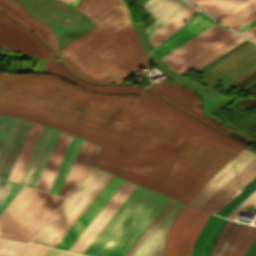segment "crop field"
<instances>
[{
	"mask_svg": "<svg viewBox=\"0 0 256 256\" xmlns=\"http://www.w3.org/2000/svg\"><path fill=\"white\" fill-rule=\"evenodd\" d=\"M256 226L250 225V227L247 229V231L244 233V235L241 237V239L238 241L233 253L231 256H237L242 245L245 243V241L248 239V237L252 234V232L255 230Z\"/></svg>",
	"mask_w": 256,
	"mask_h": 256,
	"instance_id": "crop-field-39",
	"label": "crop field"
},
{
	"mask_svg": "<svg viewBox=\"0 0 256 256\" xmlns=\"http://www.w3.org/2000/svg\"><path fill=\"white\" fill-rule=\"evenodd\" d=\"M148 89L167 99L168 101L174 103L175 105L181 107L187 112L193 114L194 116L200 118L206 123L212 125L213 127L234 138L240 143L246 146L252 143L244 137L208 120L204 115H202L200 112V99L192 91L185 89L179 85L169 83L154 84Z\"/></svg>",
	"mask_w": 256,
	"mask_h": 256,
	"instance_id": "crop-field-9",
	"label": "crop field"
},
{
	"mask_svg": "<svg viewBox=\"0 0 256 256\" xmlns=\"http://www.w3.org/2000/svg\"><path fill=\"white\" fill-rule=\"evenodd\" d=\"M26 244L5 238L0 244V256H17Z\"/></svg>",
	"mask_w": 256,
	"mask_h": 256,
	"instance_id": "crop-field-31",
	"label": "crop field"
},
{
	"mask_svg": "<svg viewBox=\"0 0 256 256\" xmlns=\"http://www.w3.org/2000/svg\"><path fill=\"white\" fill-rule=\"evenodd\" d=\"M256 175V158L238 172L232 179L223 185L217 192L208 198L199 208L214 213L230 197H232L239 186L243 187Z\"/></svg>",
	"mask_w": 256,
	"mask_h": 256,
	"instance_id": "crop-field-15",
	"label": "crop field"
},
{
	"mask_svg": "<svg viewBox=\"0 0 256 256\" xmlns=\"http://www.w3.org/2000/svg\"><path fill=\"white\" fill-rule=\"evenodd\" d=\"M236 221H230V220H227V222H226V224L224 225V227H223V229L221 230V232L219 233V235H218V237H217V239H216V241H215V243H214V246H213V248H212V250H211V252H210V255L209 256H212V254H213V252L214 251H217V252H219L220 251V249H221V247H222V245H223V243H224V241H225V239L227 238V236L229 235V233L231 232V230L233 229V227L236 225ZM239 223V222H238ZM237 226V225H236ZM235 226V227H236ZM242 226V223H239V225L236 227V229L233 231V233L230 235V237H229V239H228V241H227V239H226V241H227V243H226V241H225V243H226V245H225V243H224V245H225V247H224V245H223V247H224V249H223V253L225 252V250H226V248H227V246H228V244H229V242H230V240L233 238V236L236 234V232L239 230V228ZM217 252H215L214 253V255L213 256H223L224 254L223 253H217Z\"/></svg>",
	"mask_w": 256,
	"mask_h": 256,
	"instance_id": "crop-field-26",
	"label": "crop field"
},
{
	"mask_svg": "<svg viewBox=\"0 0 256 256\" xmlns=\"http://www.w3.org/2000/svg\"><path fill=\"white\" fill-rule=\"evenodd\" d=\"M225 222L226 219L210 214L193 243L190 256H207Z\"/></svg>",
	"mask_w": 256,
	"mask_h": 256,
	"instance_id": "crop-field-19",
	"label": "crop field"
},
{
	"mask_svg": "<svg viewBox=\"0 0 256 256\" xmlns=\"http://www.w3.org/2000/svg\"><path fill=\"white\" fill-rule=\"evenodd\" d=\"M0 10L31 30L56 56L57 39L54 30L47 24L32 17L28 11L13 0H0Z\"/></svg>",
	"mask_w": 256,
	"mask_h": 256,
	"instance_id": "crop-field-12",
	"label": "crop field"
},
{
	"mask_svg": "<svg viewBox=\"0 0 256 256\" xmlns=\"http://www.w3.org/2000/svg\"><path fill=\"white\" fill-rule=\"evenodd\" d=\"M82 141H83L82 139H79L74 136L72 137L69 143V146L66 150V153L62 159V162L59 166V169L52 182V185L48 191L49 193H53L57 195L59 194Z\"/></svg>",
	"mask_w": 256,
	"mask_h": 256,
	"instance_id": "crop-field-24",
	"label": "crop field"
},
{
	"mask_svg": "<svg viewBox=\"0 0 256 256\" xmlns=\"http://www.w3.org/2000/svg\"><path fill=\"white\" fill-rule=\"evenodd\" d=\"M122 182L123 180L113 176L55 248L67 251Z\"/></svg>",
	"mask_w": 256,
	"mask_h": 256,
	"instance_id": "crop-field-10",
	"label": "crop field"
},
{
	"mask_svg": "<svg viewBox=\"0 0 256 256\" xmlns=\"http://www.w3.org/2000/svg\"><path fill=\"white\" fill-rule=\"evenodd\" d=\"M242 40H244V39L241 38V37L238 38L237 40L230 43L229 45H227L226 47H224L223 49H221L220 51H218L214 55L210 56L209 58H207L206 60H204L203 62H201L200 64H198L197 66H195L192 69H194L196 71L199 70L200 68H202L203 66H205L206 64H208L209 62H211L212 60H214L215 58H217L218 56H220L221 54H223L224 52H226L227 50H229L230 48H232L233 46H235L236 44H238Z\"/></svg>",
	"mask_w": 256,
	"mask_h": 256,
	"instance_id": "crop-field-36",
	"label": "crop field"
},
{
	"mask_svg": "<svg viewBox=\"0 0 256 256\" xmlns=\"http://www.w3.org/2000/svg\"><path fill=\"white\" fill-rule=\"evenodd\" d=\"M255 2L256 0H198L192 4L219 21Z\"/></svg>",
	"mask_w": 256,
	"mask_h": 256,
	"instance_id": "crop-field-20",
	"label": "crop field"
},
{
	"mask_svg": "<svg viewBox=\"0 0 256 256\" xmlns=\"http://www.w3.org/2000/svg\"><path fill=\"white\" fill-rule=\"evenodd\" d=\"M241 34L244 35L245 37L249 38V39L256 36V26L247 30V31H245V32H243V33H241Z\"/></svg>",
	"mask_w": 256,
	"mask_h": 256,
	"instance_id": "crop-field-45",
	"label": "crop field"
},
{
	"mask_svg": "<svg viewBox=\"0 0 256 256\" xmlns=\"http://www.w3.org/2000/svg\"><path fill=\"white\" fill-rule=\"evenodd\" d=\"M250 204L256 206V190L225 217L235 220V215ZM254 224H256V220Z\"/></svg>",
	"mask_w": 256,
	"mask_h": 256,
	"instance_id": "crop-field-35",
	"label": "crop field"
},
{
	"mask_svg": "<svg viewBox=\"0 0 256 256\" xmlns=\"http://www.w3.org/2000/svg\"><path fill=\"white\" fill-rule=\"evenodd\" d=\"M30 124L31 123H29V122L26 123V125H25V127H24V129L22 131V134H21V136H20V138H19V140L17 142V144H14V146H13V148L11 150V153H10V155L8 157V160H7V162H6L5 166H4V169H3V171H2L0 176L6 177V178L8 177V175L10 173V170H11V168L13 166V163H14V161L16 159V156H17V154L19 152V149H20V147L22 145V142H23V140L25 138V135H26V133L28 131V128H29Z\"/></svg>",
	"mask_w": 256,
	"mask_h": 256,
	"instance_id": "crop-field-30",
	"label": "crop field"
},
{
	"mask_svg": "<svg viewBox=\"0 0 256 256\" xmlns=\"http://www.w3.org/2000/svg\"><path fill=\"white\" fill-rule=\"evenodd\" d=\"M45 249V247L30 244L21 256H40Z\"/></svg>",
	"mask_w": 256,
	"mask_h": 256,
	"instance_id": "crop-field-41",
	"label": "crop field"
},
{
	"mask_svg": "<svg viewBox=\"0 0 256 256\" xmlns=\"http://www.w3.org/2000/svg\"><path fill=\"white\" fill-rule=\"evenodd\" d=\"M251 40H253L254 42H256V37L252 38Z\"/></svg>",
	"mask_w": 256,
	"mask_h": 256,
	"instance_id": "crop-field-51",
	"label": "crop field"
},
{
	"mask_svg": "<svg viewBox=\"0 0 256 256\" xmlns=\"http://www.w3.org/2000/svg\"><path fill=\"white\" fill-rule=\"evenodd\" d=\"M59 133V131L44 127L20 184L36 187Z\"/></svg>",
	"mask_w": 256,
	"mask_h": 256,
	"instance_id": "crop-field-11",
	"label": "crop field"
},
{
	"mask_svg": "<svg viewBox=\"0 0 256 256\" xmlns=\"http://www.w3.org/2000/svg\"><path fill=\"white\" fill-rule=\"evenodd\" d=\"M237 37L232 31L213 24L161 59L172 70L183 74Z\"/></svg>",
	"mask_w": 256,
	"mask_h": 256,
	"instance_id": "crop-field-5",
	"label": "crop field"
},
{
	"mask_svg": "<svg viewBox=\"0 0 256 256\" xmlns=\"http://www.w3.org/2000/svg\"><path fill=\"white\" fill-rule=\"evenodd\" d=\"M100 146L83 141L72 168L60 192V196L66 197L84 174L92 166Z\"/></svg>",
	"mask_w": 256,
	"mask_h": 256,
	"instance_id": "crop-field-17",
	"label": "crop field"
},
{
	"mask_svg": "<svg viewBox=\"0 0 256 256\" xmlns=\"http://www.w3.org/2000/svg\"><path fill=\"white\" fill-rule=\"evenodd\" d=\"M209 213L184 204L169 229L161 256H189L192 243Z\"/></svg>",
	"mask_w": 256,
	"mask_h": 256,
	"instance_id": "crop-field-7",
	"label": "crop field"
},
{
	"mask_svg": "<svg viewBox=\"0 0 256 256\" xmlns=\"http://www.w3.org/2000/svg\"><path fill=\"white\" fill-rule=\"evenodd\" d=\"M127 183L128 182H126V181L123 182V184L118 188V190L114 193V195L109 199V201L105 204V206L100 210V212L96 215V217L92 220V222L87 226V228L83 231V233L78 237V239L74 242V244L69 248V250H68L69 252L73 251V249L78 245V243L82 240V238L86 235V233L91 229V227L95 224V222L104 213V211L113 202V200L117 197V195L121 192V190L126 186Z\"/></svg>",
	"mask_w": 256,
	"mask_h": 256,
	"instance_id": "crop-field-32",
	"label": "crop field"
},
{
	"mask_svg": "<svg viewBox=\"0 0 256 256\" xmlns=\"http://www.w3.org/2000/svg\"><path fill=\"white\" fill-rule=\"evenodd\" d=\"M4 237H0V243L3 241Z\"/></svg>",
	"mask_w": 256,
	"mask_h": 256,
	"instance_id": "crop-field-50",
	"label": "crop field"
},
{
	"mask_svg": "<svg viewBox=\"0 0 256 256\" xmlns=\"http://www.w3.org/2000/svg\"><path fill=\"white\" fill-rule=\"evenodd\" d=\"M75 8L97 25L60 49L69 69L92 81L120 82L145 66L147 56L123 0H81Z\"/></svg>",
	"mask_w": 256,
	"mask_h": 256,
	"instance_id": "crop-field-2",
	"label": "crop field"
},
{
	"mask_svg": "<svg viewBox=\"0 0 256 256\" xmlns=\"http://www.w3.org/2000/svg\"><path fill=\"white\" fill-rule=\"evenodd\" d=\"M113 175H109V177L104 181V183L100 186V188L95 192V194L90 198V200L86 203V205L81 209V211L77 214V216L72 220V222L67 226V228L63 231V233L58 237V239L51 246L52 248L60 241V239L65 235V233L69 230V228L74 224V222L78 219V217L83 213V211L88 207V205L92 202V200L97 196V194L101 191V189L106 185V183L111 179Z\"/></svg>",
	"mask_w": 256,
	"mask_h": 256,
	"instance_id": "crop-field-33",
	"label": "crop field"
},
{
	"mask_svg": "<svg viewBox=\"0 0 256 256\" xmlns=\"http://www.w3.org/2000/svg\"><path fill=\"white\" fill-rule=\"evenodd\" d=\"M255 24H256V20L251 22V23H249V24H247V25H245V26H243V27H241V28H239V29H237V30H235V31L241 33L243 31L247 30L248 28L254 26Z\"/></svg>",
	"mask_w": 256,
	"mask_h": 256,
	"instance_id": "crop-field-46",
	"label": "crop field"
},
{
	"mask_svg": "<svg viewBox=\"0 0 256 256\" xmlns=\"http://www.w3.org/2000/svg\"><path fill=\"white\" fill-rule=\"evenodd\" d=\"M256 237V230L253 232V234L249 237V239L246 241V243L244 244L239 256H243L244 253L246 252L248 246L250 245V243L253 241V239Z\"/></svg>",
	"mask_w": 256,
	"mask_h": 256,
	"instance_id": "crop-field-43",
	"label": "crop field"
},
{
	"mask_svg": "<svg viewBox=\"0 0 256 256\" xmlns=\"http://www.w3.org/2000/svg\"><path fill=\"white\" fill-rule=\"evenodd\" d=\"M255 157L256 155L247 149L241 152L202 188L189 205L198 207Z\"/></svg>",
	"mask_w": 256,
	"mask_h": 256,
	"instance_id": "crop-field-13",
	"label": "crop field"
},
{
	"mask_svg": "<svg viewBox=\"0 0 256 256\" xmlns=\"http://www.w3.org/2000/svg\"><path fill=\"white\" fill-rule=\"evenodd\" d=\"M22 185L0 179V213L21 189Z\"/></svg>",
	"mask_w": 256,
	"mask_h": 256,
	"instance_id": "crop-field-29",
	"label": "crop field"
},
{
	"mask_svg": "<svg viewBox=\"0 0 256 256\" xmlns=\"http://www.w3.org/2000/svg\"><path fill=\"white\" fill-rule=\"evenodd\" d=\"M254 9H256V4L247 8V9H245V10H243V11H241V12H239V13H237V14L229 16V17L221 20L220 22L235 30L236 28H238V27L256 19V12H253V13L248 14L246 16H242V15H244V14H246V13H248V12L254 10ZM240 16H242V17H240Z\"/></svg>",
	"mask_w": 256,
	"mask_h": 256,
	"instance_id": "crop-field-28",
	"label": "crop field"
},
{
	"mask_svg": "<svg viewBox=\"0 0 256 256\" xmlns=\"http://www.w3.org/2000/svg\"><path fill=\"white\" fill-rule=\"evenodd\" d=\"M80 0H73L69 5L75 7Z\"/></svg>",
	"mask_w": 256,
	"mask_h": 256,
	"instance_id": "crop-field-48",
	"label": "crop field"
},
{
	"mask_svg": "<svg viewBox=\"0 0 256 256\" xmlns=\"http://www.w3.org/2000/svg\"><path fill=\"white\" fill-rule=\"evenodd\" d=\"M136 185L131 183L123 190V192L118 196V198L113 202V204L108 208V210L103 214L99 221L94 225V227L89 231V233L84 237V239L79 243V245L74 249V253L81 254L82 251L87 247V245L92 241V239L97 235L101 228L106 224V222L111 218V216L116 212L120 205L125 201V199L130 195V193L135 189Z\"/></svg>",
	"mask_w": 256,
	"mask_h": 256,
	"instance_id": "crop-field-23",
	"label": "crop field"
},
{
	"mask_svg": "<svg viewBox=\"0 0 256 256\" xmlns=\"http://www.w3.org/2000/svg\"><path fill=\"white\" fill-rule=\"evenodd\" d=\"M41 256H79V255L47 248Z\"/></svg>",
	"mask_w": 256,
	"mask_h": 256,
	"instance_id": "crop-field-42",
	"label": "crop field"
},
{
	"mask_svg": "<svg viewBox=\"0 0 256 256\" xmlns=\"http://www.w3.org/2000/svg\"><path fill=\"white\" fill-rule=\"evenodd\" d=\"M182 206L175 201L131 256H160L165 235Z\"/></svg>",
	"mask_w": 256,
	"mask_h": 256,
	"instance_id": "crop-field-14",
	"label": "crop field"
},
{
	"mask_svg": "<svg viewBox=\"0 0 256 256\" xmlns=\"http://www.w3.org/2000/svg\"><path fill=\"white\" fill-rule=\"evenodd\" d=\"M242 189L243 190L237 194L230 202H228L220 211H218L216 215L224 217L248 195H250L256 189V176Z\"/></svg>",
	"mask_w": 256,
	"mask_h": 256,
	"instance_id": "crop-field-27",
	"label": "crop field"
},
{
	"mask_svg": "<svg viewBox=\"0 0 256 256\" xmlns=\"http://www.w3.org/2000/svg\"><path fill=\"white\" fill-rule=\"evenodd\" d=\"M255 73H256V72H255ZM255 73H253V74H255ZM253 74H252V75H253ZM252 75H250V76H252ZM250 76H249V77H250ZM253 76H254V75H253ZM249 77H247L246 79H248ZM250 78H251V77H250ZM255 78H256V75H255L254 77H252L251 79H249L248 81H246L245 83H243L242 85H240V87H242V86H244L245 84L251 82V81L254 80ZM246 79H244L243 81H245ZM255 80H256V79H255ZM255 80H254V81H255ZM243 81H241L240 83H242ZM252 82H253V81H252ZM252 82H251V83H252ZM240 83H238V84H240ZM238 84H237V85H238ZM249 84H250V83H249ZM247 85H248V84H247ZM247 85H246V86H247ZM235 86H236V85H235ZM236 87H237V86H236ZM240 87H239V88H240ZM244 87H245V86H244ZM244 87H242V88H244ZM234 88H235V87H234ZM242 88H241V89H242Z\"/></svg>",
	"mask_w": 256,
	"mask_h": 256,
	"instance_id": "crop-field-47",
	"label": "crop field"
},
{
	"mask_svg": "<svg viewBox=\"0 0 256 256\" xmlns=\"http://www.w3.org/2000/svg\"><path fill=\"white\" fill-rule=\"evenodd\" d=\"M256 83V81L254 82V83H252L251 85H249L248 87H246V88H244L242 91H244V90H246L247 88H249L250 86H252L253 84H255ZM254 86H256V84L255 85H253L252 87H250L249 89H251V88H253ZM249 89H247L246 91H248ZM256 89V87H254L253 89H251L250 91H248L247 93H250V92H252L253 90H255ZM245 91V92H246ZM256 91V90H255ZM254 92V91H253ZM252 92V93H253ZM251 94V93H250ZM256 94V92H254L253 94H251L252 96L253 95H255ZM254 98L256 97V95L255 96H253ZM256 99V98H255ZM253 101H255V100H252V99H248V98H243V99H241V100H239L237 103H235L234 105L235 106H237V107H239V108H244L245 106H247L248 104H250V103H252ZM256 105V101L255 102H253L252 104H250L249 106H247V107H245L244 109H251V108H253L254 106ZM243 109V110H244Z\"/></svg>",
	"mask_w": 256,
	"mask_h": 256,
	"instance_id": "crop-field-37",
	"label": "crop field"
},
{
	"mask_svg": "<svg viewBox=\"0 0 256 256\" xmlns=\"http://www.w3.org/2000/svg\"><path fill=\"white\" fill-rule=\"evenodd\" d=\"M43 127L44 126L42 125L34 123L31 124L11 174L8 178L9 180L17 183L19 182Z\"/></svg>",
	"mask_w": 256,
	"mask_h": 256,
	"instance_id": "crop-field-22",
	"label": "crop field"
},
{
	"mask_svg": "<svg viewBox=\"0 0 256 256\" xmlns=\"http://www.w3.org/2000/svg\"><path fill=\"white\" fill-rule=\"evenodd\" d=\"M196 11L189 4L177 13L172 19H170L165 25H163L158 31H156L149 39L153 45H157L175 29H177L191 14Z\"/></svg>",
	"mask_w": 256,
	"mask_h": 256,
	"instance_id": "crop-field-25",
	"label": "crop field"
},
{
	"mask_svg": "<svg viewBox=\"0 0 256 256\" xmlns=\"http://www.w3.org/2000/svg\"><path fill=\"white\" fill-rule=\"evenodd\" d=\"M187 4L184 0H148L144 3L143 6L146 12L152 14L157 19L145 28L148 36L153 34Z\"/></svg>",
	"mask_w": 256,
	"mask_h": 256,
	"instance_id": "crop-field-18",
	"label": "crop field"
},
{
	"mask_svg": "<svg viewBox=\"0 0 256 256\" xmlns=\"http://www.w3.org/2000/svg\"><path fill=\"white\" fill-rule=\"evenodd\" d=\"M108 175L92 168L32 242L50 247Z\"/></svg>",
	"mask_w": 256,
	"mask_h": 256,
	"instance_id": "crop-field-6",
	"label": "crop field"
},
{
	"mask_svg": "<svg viewBox=\"0 0 256 256\" xmlns=\"http://www.w3.org/2000/svg\"><path fill=\"white\" fill-rule=\"evenodd\" d=\"M249 227L247 224H243V226L240 228V230L237 232V234L234 236V238L231 240L227 251L224 256H230L235 244L240 239V237L243 235V233L246 231V229Z\"/></svg>",
	"mask_w": 256,
	"mask_h": 256,
	"instance_id": "crop-field-40",
	"label": "crop field"
},
{
	"mask_svg": "<svg viewBox=\"0 0 256 256\" xmlns=\"http://www.w3.org/2000/svg\"><path fill=\"white\" fill-rule=\"evenodd\" d=\"M244 256H256V238L251 243Z\"/></svg>",
	"mask_w": 256,
	"mask_h": 256,
	"instance_id": "crop-field-44",
	"label": "crop field"
},
{
	"mask_svg": "<svg viewBox=\"0 0 256 256\" xmlns=\"http://www.w3.org/2000/svg\"><path fill=\"white\" fill-rule=\"evenodd\" d=\"M63 200L23 186L0 215V235L30 241Z\"/></svg>",
	"mask_w": 256,
	"mask_h": 256,
	"instance_id": "crop-field-4",
	"label": "crop field"
},
{
	"mask_svg": "<svg viewBox=\"0 0 256 256\" xmlns=\"http://www.w3.org/2000/svg\"><path fill=\"white\" fill-rule=\"evenodd\" d=\"M0 46L32 55L53 58L54 55L27 29L0 12Z\"/></svg>",
	"mask_w": 256,
	"mask_h": 256,
	"instance_id": "crop-field-8",
	"label": "crop field"
},
{
	"mask_svg": "<svg viewBox=\"0 0 256 256\" xmlns=\"http://www.w3.org/2000/svg\"><path fill=\"white\" fill-rule=\"evenodd\" d=\"M51 75L0 73V114L104 145L95 167L186 204L243 146L133 85H97L59 61Z\"/></svg>",
	"mask_w": 256,
	"mask_h": 256,
	"instance_id": "crop-field-1",
	"label": "crop field"
},
{
	"mask_svg": "<svg viewBox=\"0 0 256 256\" xmlns=\"http://www.w3.org/2000/svg\"><path fill=\"white\" fill-rule=\"evenodd\" d=\"M63 1H65V2H67V3H70L72 0H63Z\"/></svg>",
	"mask_w": 256,
	"mask_h": 256,
	"instance_id": "crop-field-49",
	"label": "crop field"
},
{
	"mask_svg": "<svg viewBox=\"0 0 256 256\" xmlns=\"http://www.w3.org/2000/svg\"><path fill=\"white\" fill-rule=\"evenodd\" d=\"M71 137L72 136L69 134L62 132L60 133L54 149L50 155V158L47 162V165L40 178V181L36 187L37 189L46 192L48 191Z\"/></svg>",
	"mask_w": 256,
	"mask_h": 256,
	"instance_id": "crop-field-21",
	"label": "crop field"
},
{
	"mask_svg": "<svg viewBox=\"0 0 256 256\" xmlns=\"http://www.w3.org/2000/svg\"><path fill=\"white\" fill-rule=\"evenodd\" d=\"M173 202L174 200L171 199L170 202L161 211V213L157 216V218L152 222V224L148 227V229L143 233V235L139 238V240L134 244V246L126 254V256H130L134 252V250L138 247V245L142 242V240L147 236V234L151 231V229L155 226V224L160 220V218L164 215V213L168 210V208L173 204Z\"/></svg>",
	"mask_w": 256,
	"mask_h": 256,
	"instance_id": "crop-field-34",
	"label": "crop field"
},
{
	"mask_svg": "<svg viewBox=\"0 0 256 256\" xmlns=\"http://www.w3.org/2000/svg\"><path fill=\"white\" fill-rule=\"evenodd\" d=\"M13 122V118L0 116V149Z\"/></svg>",
	"mask_w": 256,
	"mask_h": 256,
	"instance_id": "crop-field-38",
	"label": "crop field"
},
{
	"mask_svg": "<svg viewBox=\"0 0 256 256\" xmlns=\"http://www.w3.org/2000/svg\"><path fill=\"white\" fill-rule=\"evenodd\" d=\"M214 22L216 21L212 20L211 18L198 11L195 16L180 30H178L171 37H169L163 43L154 48L157 55L160 58L163 57L164 55H166L185 41L189 40Z\"/></svg>",
	"mask_w": 256,
	"mask_h": 256,
	"instance_id": "crop-field-16",
	"label": "crop field"
},
{
	"mask_svg": "<svg viewBox=\"0 0 256 256\" xmlns=\"http://www.w3.org/2000/svg\"><path fill=\"white\" fill-rule=\"evenodd\" d=\"M169 200L137 186L82 254L124 256Z\"/></svg>",
	"mask_w": 256,
	"mask_h": 256,
	"instance_id": "crop-field-3",
	"label": "crop field"
}]
</instances>
